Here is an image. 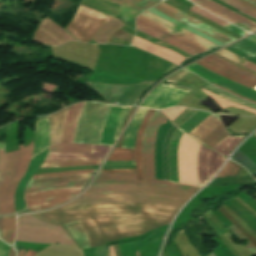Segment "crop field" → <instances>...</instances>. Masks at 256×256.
I'll return each mask as SVG.
<instances>
[{"instance_id": "1", "label": "crop field", "mask_w": 256, "mask_h": 256, "mask_svg": "<svg viewBox=\"0 0 256 256\" xmlns=\"http://www.w3.org/2000/svg\"><path fill=\"white\" fill-rule=\"evenodd\" d=\"M105 195H145L173 200L184 204L193 194L186 191L157 187L150 185L108 184L91 186L80 196L93 197ZM145 196H105L76 199L67 205L105 202V201H149L171 205L180 209L182 204ZM158 203L148 202H105L60 207L55 210L35 213L37 218L53 223L63 224L76 220L107 217V216H147L164 220L168 223L173 219L177 209ZM147 217H107L80 221L87 234L107 232H132L144 234L145 232L166 225L168 223ZM108 233L88 235L91 246L105 245V242L125 239L139 234Z\"/></svg>"}, {"instance_id": "2", "label": "crop field", "mask_w": 256, "mask_h": 256, "mask_svg": "<svg viewBox=\"0 0 256 256\" xmlns=\"http://www.w3.org/2000/svg\"><path fill=\"white\" fill-rule=\"evenodd\" d=\"M83 103L72 105L50 115L51 145L60 144L63 126L67 116L61 143H72L74 132L79 121ZM111 105L95 102H85L84 109L77 126L73 143L99 144L105 119Z\"/></svg>"}, {"instance_id": "3", "label": "crop field", "mask_w": 256, "mask_h": 256, "mask_svg": "<svg viewBox=\"0 0 256 256\" xmlns=\"http://www.w3.org/2000/svg\"><path fill=\"white\" fill-rule=\"evenodd\" d=\"M167 120L166 117L160 113H154L151 121L149 122L143 137L142 142V174L143 181H136V174H99L92 185L106 184V183H143L152 184L165 187H171L190 192H197L198 189L194 187L181 186L171 182L162 180H154V144L158 127Z\"/></svg>"}, {"instance_id": "4", "label": "crop field", "mask_w": 256, "mask_h": 256, "mask_svg": "<svg viewBox=\"0 0 256 256\" xmlns=\"http://www.w3.org/2000/svg\"><path fill=\"white\" fill-rule=\"evenodd\" d=\"M20 150L9 153L8 170L0 189V211L1 214L14 213V191L15 188L25 174L27 166L33 152V141L24 148L19 146Z\"/></svg>"}, {"instance_id": "5", "label": "crop field", "mask_w": 256, "mask_h": 256, "mask_svg": "<svg viewBox=\"0 0 256 256\" xmlns=\"http://www.w3.org/2000/svg\"><path fill=\"white\" fill-rule=\"evenodd\" d=\"M15 240L35 243L74 244L61 226L42 222L31 214L20 215Z\"/></svg>"}, {"instance_id": "6", "label": "crop field", "mask_w": 256, "mask_h": 256, "mask_svg": "<svg viewBox=\"0 0 256 256\" xmlns=\"http://www.w3.org/2000/svg\"><path fill=\"white\" fill-rule=\"evenodd\" d=\"M112 19L113 17L80 5L65 30L78 40L89 42L102 23Z\"/></svg>"}, {"instance_id": "7", "label": "crop field", "mask_w": 256, "mask_h": 256, "mask_svg": "<svg viewBox=\"0 0 256 256\" xmlns=\"http://www.w3.org/2000/svg\"><path fill=\"white\" fill-rule=\"evenodd\" d=\"M190 137L184 133L179 144V183L194 185L198 187L197 151L200 144Z\"/></svg>"}, {"instance_id": "8", "label": "crop field", "mask_w": 256, "mask_h": 256, "mask_svg": "<svg viewBox=\"0 0 256 256\" xmlns=\"http://www.w3.org/2000/svg\"><path fill=\"white\" fill-rule=\"evenodd\" d=\"M84 186L58 189L52 191H37L25 193V201L29 211L42 210L63 202L76 196Z\"/></svg>"}, {"instance_id": "9", "label": "crop field", "mask_w": 256, "mask_h": 256, "mask_svg": "<svg viewBox=\"0 0 256 256\" xmlns=\"http://www.w3.org/2000/svg\"><path fill=\"white\" fill-rule=\"evenodd\" d=\"M208 147H215L229 136L218 116L211 114L190 133Z\"/></svg>"}, {"instance_id": "10", "label": "crop field", "mask_w": 256, "mask_h": 256, "mask_svg": "<svg viewBox=\"0 0 256 256\" xmlns=\"http://www.w3.org/2000/svg\"><path fill=\"white\" fill-rule=\"evenodd\" d=\"M154 8L171 16L172 18H174L184 24H187V25L207 34L208 36H210L218 41L225 43V44H228V43L236 40L235 38L221 32L205 23H202V22L190 17L163 2L159 3Z\"/></svg>"}, {"instance_id": "11", "label": "crop field", "mask_w": 256, "mask_h": 256, "mask_svg": "<svg viewBox=\"0 0 256 256\" xmlns=\"http://www.w3.org/2000/svg\"><path fill=\"white\" fill-rule=\"evenodd\" d=\"M188 91L162 84L154 89L141 104V107L164 109L176 105Z\"/></svg>"}, {"instance_id": "12", "label": "crop field", "mask_w": 256, "mask_h": 256, "mask_svg": "<svg viewBox=\"0 0 256 256\" xmlns=\"http://www.w3.org/2000/svg\"><path fill=\"white\" fill-rule=\"evenodd\" d=\"M92 174H78L47 179L31 180L26 192L37 190H52L70 186L86 185Z\"/></svg>"}, {"instance_id": "13", "label": "crop field", "mask_w": 256, "mask_h": 256, "mask_svg": "<svg viewBox=\"0 0 256 256\" xmlns=\"http://www.w3.org/2000/svg\"><path fill=\"white\" fill-rule=\"evenodd\" d=\"M226 158L200 146L198 155V185L201 188L217 171Z\"/></svg>"}, {"instance_id": "14", "label": "crop field", "mask_w": 256, "mask_h": 256, "mask_svg": "<svg viewBox=\"0 0 256 256\" xmlns=\"http://www.w3.org/2000/svg\"><path fill=\"white\" fill-rule=\"evenodd\" d=\"M186 68L200 74L201 76L217 83L218 85H220V86H222L226 89H229L231 91H234V92H236L240 95H243L247 98H250V99L256 101V91L245 88V87H243V86H241V85H239V84H237V83H235L231 80L223 78V77H221V76H219V75L201 67L200 65H198L196 63H194V64H192V65H190Z\"/></svg>"}, {"instance_id": "15", "label": "crop field", "mask_w": 256, "mask_h": 256, "mask_svg": "<svg viewBox=\"0 0 256 256\" xmlns=\"http://www.w3.org/2000/svg\"><path fill=\"white\" fill-rule=\"evenodd\" d=\"M196 4H198L199 6H201L202 8L206 9L207 11L216 14L220 17H222L223 19L239 26V25H244L246 27H248L251 30H255L256 29V23L210 1V0H190ZM240 26L248 31L251 32V30L247 29L244 26Z\"/></svg>"}, {"instance_id": "16", "label": "crop field", "mask_w": 256, "mask_h": 256, "mask_svg": "<svg viewBox=\"0 0 256 256\" xmlns=\"http://www.w3.org/2000/svg\"><path fill=\"white\" fill-rule=\"evenodd\" d=\"M110 147L93 145L91 153L49 152L46 160H103Z\"/></svg>"}, {"instance_id": "17", "label": "crop field", "mask_w": 256, "mask_h": 256, "mask_svg": "<svg viewBox=\"0 0 256 256\" xmlns=\"http://www.w3.org/2000/svg\"><path fill=\"white\" fill-rule=\"evenodd\" d=\"M107 1L122 4L126 7H129V8L136 10L140 13L144 12L145 10L149 9L153 5L160 2L159 0H107ZM122 5H121V9H120V15L122 16L125 23L140 14V13L133 11L129 8H126Z\"/></svg>"}, {"instance_id": "18", "label": "crop field", "mask_w": 256, "mask_h": 256, "mask_svg": "<svg viewBox=\"0 0 256 256\" xmlns=\"http://www.w3.org/2000/svg\"><path fill=\"white\" fill-rule=\"evenodd\" d=\"M140 16H142V17H144V18H146V19H148V20H150V21H152V22H154V23L172 31V32H175V33H177V34H179V35H181V36H183L187 39H190V40L196 42L197 44L202 45V46H204L208 49H211V48L217 46V45H215V44H213V43H211V42H209V41H207V40H205L201 37H198V36L188 32V31L176 26V25H173V24H171V23H169V22H167V21H165V20L147 12V11L142 13Z\"/></svg>"}, {"instance_id": "19", "label": "crop field", "mask_w": 256, "mask_h": 256, "mask_svg": "<svg viewBox=\"0 0 256 256\" xmlns=\"http://www.w3.org/2000/svg\"><path fill=\"white\" fill-rule=\"evenodd\" d=\"M202 60L205 61L206 63L224 71V72H227V73L237 77V78H241L248 82L256 84V75L250 74V73H248L230 63H227V62L219 59V58H216L211 55Z\"/></svg>"}, {"instance_id": "20", "label": "crop field", "mask_w": 256, "mask_h": 256, "mask_svg": "<svg viewBox=\"0 0 256 256\" xmlns=\"http://www.w3.org/2000/svg\"><path fill=\"white\" fill-rule=\"evenodd\" d=\"M48 150L38 156H36L30 164V167L25 175V177L21 180L17 190H16V209L17 211H20L25 208V204L23 201V190L25 185L27 184L28 180L32 177L34 172L37 170V168L41 165V163L45 160L47 156Z\"/></svg>"}, {"instance_id": "21", "label": "crop field", "mask_w": 256, "mask_h": 256, "mask_svg": "<svg viewBox=\"0 0 256 256\" xmlns=\"http://www.w3.org/2000/svg\"><path fill=\"white\" fill-rule=\"evenodd\" d=\"M133 44L150 52V53H153L159 57L173 61L177 64H179L183 59H185L184 57H182L181 55H179L177 53L169 51L163 47L155 46V45L151 44L150 42H148L144 39H141L137 36L135 37Z\"/></svg>"}, {"instance_id": "22", "label": "crop field", "mask_w": 256, "mask_h": 256, "mask_svg": "<svg viewBox=\"0 0 256 256\" xmlns=\"http://www.w3.org/2000/svg\"><path fill=\"white\" fill-rule=\"evenodd\" d=\"M49 146V120H41L37 122L33 157L44 152ZM32 157V158H33Z\"/></svg>"}, {"instance_id": "23", "label": "crop field", "mask_w": 256, "mask_h": 256, "mask_svg": "<svg viewBox=\"0 0 256 256\" xmlns=\"http://www.w3.org/2000/svg\"><path fill=\"white\" fill-rule=\"evenodd\" d=\"M122 110H123V107H113V106L111 107L110 113H109V115L106 119V123H105V127H104V130H103V133H102V137H101V143L102 144L111 145V143L113 141L117 121H118V118H119ZM119 121H120V119H119ZM102 144H100V145H102Z\"/></svg>"}, {"instance_id": "24", "label": "crop field", "mask_w": 256, "mask_h": 256, "mask_svg": "<svg viewBox=\"0 0 256 256\" xmlns=\"http://www.w3.org/2000/svg\"><path fill=\"white\" fill-rule=\"evenodd\" d=\"M182 132L180 129L173 133L169 148L170 181L178 183L177 148Z\"/></svg>"}, {"instance_id": "25", "label": "crop field", "mask_w": 256, "mask_h": 256, "mask_svg": "<svg viewBox=\"0 0 256 256\" xmlns=\"http://www.w3.org/2000/svg\"><path fill=\"white\" fill-rule=\"evenodd\" d=\"M147 110L148 109H143V108L138 110L133 121L128 126V128L125 132L124 142H123L122 147L134 149L136 133H137L138 127H139L140 123L142 122Z\"/></svg>"}, {"instance_id": "26", "label": "crop field", "mask_w": 256, "mask_h": 256, "mask_svg": "<svg viewBox=\"0 0 256 256\" xmlns=\"http://www.w3.org/2000/svg\"><path fill=\"white\" fill-rule=\"evenodd\" d=\"M63 227L70 234V236L74 239V241L79 249H85V248L91 247L89 240H88L82 226L80 225L79 221L64 224Z\"/></svg>"}, {"instance_id": "27", "label": "crop field", "mask_w": 256, "mask_h": 256, "mask_svg": "<svg viewBox=\"0 0 256 256\" xmlns=\"http://www.w3.org/2000/svg\"><path fill=\"white\" fill-rule=\"evenodd\" d=\"M154 110L149 109L143 122L141 123L137 137H136V146H135V161H136V170H137V180H142L141 175V142H142V136L144 129L146 125L148 124Z\"/></svg>"}, {"instance_id": "28", "label": "crop field", "mask_w": 256, "mask_h": 256, "mask_svg": "<svg viewBox=\"0 0 256 256\" xmlns=\"http://www.w3.org/2000/svg\"><path fill=\"white\" fill-rule=\"evenodd\" d=\"M16 231L15 216L3 217V240L8 243H13Z\"/></svg>"}, {"instance_id": "29", "label": "crop field", "mask_w": 256, "mask_h": 256, "mask_svg": "<svg viewBox=\"0 0 256 256\" xmlns=\"http://www.w3.org/2000/svg\"><path fill=\"white\" fill-rule=\"evenodd\" d=\"M90 144H62L50 147L49 151L90 152Z\"/></svg>"}, {"instance_id": "30", "label": "crop field", "mask_w": 256, "mask_h": 256, "mask_svg": "<svg viewBox=\"0 0 256 256\" xmlns=\"http://www.w3.org/2000/svg\"><path fill=\"white\" fill-rule=\"evenodd\" d=\"M242 138L243 136L241 137L229 136L227 139H225L221 144H219L214 149L219 153L227 156L238 145V143L241 141Z\"/></svg>"}, {"instance_id": "31", "label": "crop field", "mask_w": 256, "mask_h": 256, "mask_svg": "<svg viewBox=\"0 0 256 256\" xmlns=\"http://www.w3.org/2000/svg\"><path fill=\"white\" fill-rule=\"evenodd\" d=\"M102 161H45L41 167H67L76 165H100Z\"/></svg>"}, {"instance_id": "32", "label": "crop field", "mask_w": 256, "mask_h": 256, "mask_svg": "<svg viewBox=\"0 0 256 256\" xmlns=\"http://www.w3.org/2000/svg\"><path fill=\"white\" fill-rule=\"evenodd\" d=\"M153 8H154V7H153ZM153 8L149 9L148 11H150V12H152V13H154V14H156V15H158V16H160V17L166 19V20H169V21L173 22L174 24H176V25H178V26H180V27H182V28H184V29H187V30H189V31H191V32H193V33H195V34H197V35L203 37V38H206L207 40H209V41H211V42H213V43H215V44H217V45H219V46L225 45V44H223V43H221V42H218V41H216V40H214V39H212V38L206 36L205 34L199 32V31H197V30H195V29H193V28H191V27H189V26H187V25H184V24L179 23L178 21H176V20H174V19H172V18H170V17H168V16L162 14L161 12H159V11L153 9Z\"/></svg>"}, {"instance_id": "33", "label": "crop field", "mask_w": 256, "mask_h": 256, "mask_svg": "<svg viewBox=\"0 0 256 256\" xmlns=\"http://www.w3.org/2000/svg\"><path fill=\"white\" fill-rule=\"evenodd\" d=\"M134 160V150L115 148L107 161H129Z\"/></svg>"}, {"instance_id": "34", "label": "crop field", "mask_w": 256, "mask_h": 256, "mask_svg": "<svg viewBox=\"0 0 256 256\" xmlns=\"http://www.w3.org/2000/svg\"><path fill=\"white\" fill-rule=\"evenodd\" d=\"M190 11H192V12H194V13H196V14H198V15H200V16H202V17H204V18H206V19H208V20H210V21L228 29V30L235 27V26L223 21L222 19H220V18H218V17H216V16L198 8L195 5L191 7Z\"/></svg>"}, {"instance_id": "35", "label": "crop field", "mask_w": 256, "mask_h": 256, "mask_svg": "<svg viewBox=\"0 0 256 256\" xmlns=\"http://www.w3.org/2000/svg\"><path fill=\"white\" fill-rule=\"evenodd\" d=\"M136 27H137L138 30H140V31H142V32H144V33H146V34H148L150 36L156 37V38H158V39H160L162 41H167L169 44H171V45H173V46H175V47H177V48H179V49H181V50H183V51H185V52H187V53H189L191 55L197 54L196 52L192 51L191 49H189V48H187V47H185V46H183L181 44H178V43H176V42H174V41H172V40H170V39H168V38H166L164 36H161V35L153 32V31H151V30H149V29H147L145 27L139 26L137 24H136Z\"/></svg>"}, {"instance_id": "36", "label": "crop field", "mask_w": 256, "mask_h": 256, "mask_svg": "<svg viewBox=\"0 0 256 256\" xmlns=\"http://www.w3.org/2000/svg\"><path fill=\"white\" fill-rule=\"evenodd\" d=\"M232 160L244 165L251 173L256 174V164H254L246 155H244L239 149L231 158Z\"/></svg>"}, {"instance_id": "37", "label": "crop field", "mask_w": 256, "mask_h": 256, "mask_svg": "<svg viewBox=\"0 0 256 256\" xmlns=\"http://www.w3.org/2000/svg\"><path fill=\"white\" fill-rule=\"evenodd\" d=\"M136 23L140 24V25H143V26H145L147 28H150V29H152L154 31L160 32L163 35H165V36H167V37H169V38H171V39H173V40H175V41H177V42H179V43H181V44L191 48L192 50H194V51H196L198 53L203 52V50H201V49H199V48H197V47H195V46H193V45H191V44H189V43H187V42H185V41H183V40H181V39H179L177 37H174V36H172V35H170L168 33H165L164 31H162V30H160V29H158V28H156V27H154V26H152L150 24H147V23H145V22H143L141 20L136 19Z\"/></svg>"}, {"instance_id": "38", "label": "crop field", "mask_w": 256, "mask_h": 256, "mask_svg": "<svg viewBox=\"0 0 256 256\" xmlns=\"http://www.w3.org/2000/svg\"><path fill=\"white\" fill-rule=\"evenodd\" d=\"M216 53H218V54H220V55L226 57L227 59H229V60H231V61H233V62H235V63H238V62H240V61L242 60V59L239 58L238 56H236V55H234V54H232V53H230V52H228V51H226V50H224V49H222V50H220V51H218V52H216ZM239 64L242 65V66H244V67H246V68H248V69H251V70H253V71H256V65L253 64V63H250V62H248V61H246V60H244V59H243L242 62L239 63Z\"/></svg>"}, {"instance_id": "39", "label": "crop field", "mask_w": 256, "mask_h": 256, "mask_svg": "<svg viewBox=\"0 0 256 256\" xmlns=\"http://www.w3.org/2000/svg\"><path fill=\"white\" fill-rule=\"evenodd\" d=\"M220 1L228 4V5L236 8V9H238V10H240V11H242V12H244V13L252 16V17H254V18H256V10L254 8L248 6V5L240 3V2H238L236 0H220Z\"/></svg>"}, {"instance_id": "40", "label": "crop field", "mask_w": 256, "mask_h": 256, "mask_svg": "<svg viewBox=\"0 0 256 256\" xmlns=\"http://www.w3.org/2000/svg\"><path fill=\"white\" fill-rule=\"evenodd\" d=\"M196 63L200 64L201 66H203V67H205V68H207V69H209V70H211V71H213V72H215V73H217V74H219V75H221L223 77L229 78V79H231V80H233V81H235V82H237V83H239V84H241L243 86H246V87L251 88V89L253 87V84L245 82V81L240 80V79H237V78H235V77H233V76H231V75H229L227 73H224L222 71H219V70L213 68L212 66L206 64L205 62H203L201 60L196 62Z\"/></svg>"}, {"instance_id": "41", "label": "crop field", "mask_w": 256, "mask_h": 256, "mask_svg": "<svg viewBox=\"0 0 256 256\" xmlns=\"http://www.w3.org/2000/svg\"><path fill=\"white\" fill-rule=\"evenodd\" d=\"M240 169V166L229 161L225 168L220 172V174L216 178L237 176Z\"/></svg>"}, {"instance_id": "42", "label": "crop field", "mask_w": 256, "mask_h": 256, "mask_svg": "<svg viewBox=\"0 0 256 256\" xmlns=\"http://www.w3.org/2000/svg\"><path fill=\"white\" fill-rule=\"evenodd\" d=\"M8 153H4V143H0V186L7 170Z\"/></svg>"}, {"instance_id": "43", "label": "crop field", "mask_w": 256, "mask_h": 256, "mask_svg": "<svg viewBox=\"0 0 256 256\" xmlns=\"http://www.w3.org/2000/svg\"><path fill=\"white\" fill-rule=\"evenodd\" d=\"M202 91H204L206 94H208L209 96H211L212 98H214L216 100V102L224 109L228 106H235V107H238V108H242V109H245V110H248V111H251V112H254L256 113L255 110L253 109H250V108H247V107H244V106H241V105H237V104H234V103H231V102H228L204 89H201Z\"/></svg>"}, {"instance_id": "44", "label": "crop field", "mask_w": 256, "mask_h": 256, "mask_svg": "<svg viewBox=\"0 0 256 256\" xmlns=\"http://www.w3.org/2000/svg\"><path fill=\"white\" fill-rule=\"evenodd\" d=\"M95 170H79V171H66L62 173H55V174H43L33 176L32 179L36 178H45V177H52V176H60V175H69V174H78V173H94Z\"/></svg>"}, {"instance_id": "45", "label": "crop field", "mask_w": 256, "mask_h": 256, "mask_svg": "<svg viewBox=\"0 0 256 256\" xmlns=\"http://www.w3.org/2000/svg\"><path fill=\"white\" fill-rule=\"evenodd\" d=\"M225 49L256 64V59L253 58V57H250V56H248V55H246V54H244V53H242V52H240V51H238L234 48H231V47H228V48H225Z\"/></svg>"}, {"instance_id": "46", "label": "crop field", "mask_w": 256, "mask_h": 256, "mask_svg": "<svg viewBox=\"0 0 256 256\" xmlns=\"http://www.w3.org/2000/svg\"><path fill=\"white\" fill-rule=\"evenodd\" d=\"M138 19H141V20H143V21H145V22H148V23H150V24H152V25H154V26H156V27H158V28H160V29H162V30H164V31H166V32H168V33H170V34H172V35H175V36H177V37H179V38H181V39H183V40H185V41H187V42H189V43H191V44H193V45H195V46H197V47H199V48H201V49H203V50H205V51H207V49H205V48H203V47L197 45L196 43H194V42H192V41H189V40H187V39H185V38H183V37H181V36H179V35H176V34L170 32V31H168V30H166V29H164V28H162V27H160V26H158V25H156V24H154V23H152V22H150V21H148V20H145V19H143V18H141V17H138Z\"/></svg>"}, {"instance_id": "47", "label": "crop field", "mask_w": 256, "mask_h": 256, "mask_svg": "<svg viewBox=\"0 0 256 256\" xmlns=\"http://www.w3.org/2000/svg\"><path fill=\"white\" fill-rule=\"evenodd\" d=\"M187 73H189V71L182 70V71L174 74L172 77H170L168 80H166V82L175 83L179 79H181L183 76H185Z\"/></svg>"}, {"instance_id": "48", "label": "crop field", "mask_w": 256, "mask_h": 256, "mask_svg": "<svg viewBox=\"0 0 256 256\" xmlns=\"http://www.w3.org/2000/svg\"><path fill=\"white\" fill-rule=\"evenodd\" d=\"M204 89H206V90H208V91H211V92H213V93H215V94L221 96L222 98H224V99H226V100H228V101H233V102H235V103H238V104L247 106V105H245V104H242V103H240V102H237V101H235V100H232L233 98H232V99H229V98H231V97H229V96H227V95H225V94H223V93H222V95L227 96V97H229V98L220 95L221 92H219V91H217V90H215V89H213V88H210V87H208V86L204 87ZM247 107H250V106H247ZM252 107H253V106H252ZM252 107H251V108H252ZM255 108H256V107H255ZM255 108H254V109H255Z\"/></svg>"}, {"instance_id": "49", "label": "crop field", "mask_w": 256, "mask_h": 256, "mask_svg": "<svg viewBox=\"0 0 256 256\" xmlns=\"http://www.w3.org/2000/svg\"><path fill=\"white\" fill-rule=\"evenodd\" d=\"M10 246L0 240V256H8Z\"/></svg>"}, {"instance_id": "50", "label": "crop field", "mask_w": 256, "mask_h": 256, "mask_svg": "<svg viewBox=\"0 0 256 256\" xmlns=\"http://www.w3.org/2000/svg\"><path fill=\"white\" fill-rule=\"evenodd\" d=\"M136 172L135 169H123V170H102L101 173H128Z\"/></svg>"}, {"instance_id": "51", "label": "crop field", "mask_w": 256, "mask_h": 256, "mask_svg": "<svg viewBox=\"0 0 256 256\" xmlns=\"http://www.w3.org/2000/svg\"><path fill=\"white\" fill-rule=\"evenodd\" d=\"M228 228H229L240 240L246 239L234 225H232V226H230V227H228Z\"/></svg>"}, {"instance_id": "52", "label": "crop field", "mask_w": 256, "mask_h": 256, "mask_svg": "<svg viewBox=\"0 0 256 256\" xmlns=\"http://www.w3.org/2000/svg\"><path fill=\"white\" fill-rule=\"evenodd\" d=\"M129 109H130V107H127V108H126V110H125V112H124V114H123V116H122V118H121L120 124H119L118 129H117L116 137H117V136L119 135V133H120L122 124H123V122H124V120H125V117H126L128 111H129ZM115 139H116V138H115Z\"/></svg>"}, {"instance_id": "53", "label": "crop field", "mask_w": 256, "mask_h": 256, "mask_svg": "<svg viewBox=\"0 0 256 256\" xmlns=\"http://www.w3.org/2000/svg\"><path fill=\"white\" fill-rule=\"evenodd\" d=\"M105 165H135V162H106Z\"/></svg>"}, {"instance_id": "54", "label": "crop field", "mask_w": 256, "mask_h": 256, "mask_svg": "<svg viewBox=\"0 0 256 256\" xmlns=\"http://www.w3.org/2000/svg\"><path fill=\"white\" fill-rule=\"evenodd\" d=\"M246 247L256 255V248L249 241Z\"/></svg>"}, {"instance_id": "55", "label": "crop field", "mask_w": 256, "mask_h": 256, "mask_svg": "<svg viewBox=\"0 0 256 256\" xmlns=\"http://www.w3.org/2000/svg\"><path fill=\"white\" fill-rule=\"evenodd\" d=\"M134 109H135L134 107H132V108H131V110H130V112H129V114H128V116H127L126 120H125L124 125H125V124H126V122L129 120V118H130L131 114L133 113ZM124 125H123V127H124ZM123 127H122V128H123Z\"/></svg>"}, {"instance_id": "56", "label": "crop field", "mask_w": 256, "mask_h": 256, "mask_svg": "<svg viewBox=\"0 0 256 256\" xmlns=\"http://www.w3.org/2000/svg\"><path fill=\"white\" fill-rule=\"evenodd\" d=\"M113 247H114L115 255L120 256L118 245H113Z\"/></svg>"}, {"instance_id": "57", "label": "crop field", "mask_w": 256, "mask_h": 256, "mask_svg": "<svg viewBox=\"0 0 256 256\" xmlns=\"http://www.w3.org/2000/svg\"><path fill=\"white\" fill-rule=\"evenodd\" d=\"M36 254V252L28 250V252L26 253L25 256H34Z\"/></svg>"}, {"instance_id": "58", "label": "crop field", "mask_w": 256, "mask_h": 256, "mask_svg": "<svg viewBox=\"0 0 256 256\" xmlns=\"http://www.w3.org/2000/svg\"><path fill=\"white\" fill-rule=\"evenodd\" d=\"M213 85H216V84L213 83ZM216 86H218V85H216ZM218 87H220V86H218ZM220 88H222V87H220ZM222 89H224V88H222ZM224 90H225V89H224ZM226 91H227V90H226ZM228 92H229V91H228ZM230 93H231V92H230ZM232 94H234V93H232ZM234 95H236V94H234ZM236 96H238V95H236ZM238 97H240V96H238ZM240 98L245 99V98H243V97H240ZM245 100H248V99H245ZM248 101H250V102L256 104V102H254V101H251V100H248Z\"/></svg>"}, {"instance_id": "59", "label": "crop field", "mask_w": 256, "mask_h": 256, "mask_svg": "<svg viewBox=\"0 0 256 256\" xmlns=\"http://www.w3.org/2000/svg\"><path fill=\"white\" fill-rule=\"evenodd\" d=\"M0 238L2 239V217H0Z\"/></svg>"}, {"instance_id": "60", "label": "crop field", "mask_w": 256, "mask_h": 256, "mask_svg": "<svg viewBox=\"0 0 256 256\" xmlns=\"http://www.w3.org/2000/svg\"><path fill=\"white\" fill-rule=\"evenodd\" d=\"M240 1H242V2H244V3H246V4H248V5H250V6L254 7V8H256V6H255V5H253V4H251V3H249V2H247V1H245V0H240Z\"/></svg>"}, {"instance_id": "61", "label": "crop field", "mask_w": 256, "mask_h": 256, "mask_svg": "<svg viewBox=\"0 0 256 256\" xmlns=\"http://www.w3.org/2000/svg\"><path fill=\"white\" fill-rule=\"evenodd\" d=\"M9 256H15V251L11 248Z\"/></svg>"}, {"instance_id": "62", "label": "crop field", "mask_w": 256, "mask_h": 256, "mask_svg": "<svg viewBox=\"0 0 256 256\" xmlns=\"http://www.w3.org/2000/svg\"><path fill=\"white\" fill-rule=\"evenodd\" d=\"M24 250L18 252V256H22Z\"/></svg>"}, {"instance_id": "63", "label": "crop field", "mask_w": 256, "mask_h": 256, "mask_svg": "<svg viewBox=\"0 0 256 256\" xmlns=\"http://www.w3.org/2000/svg\"><path fill=\"white\" fill-rule=\"evenodd\" d=\"M122 140H123V137H122L121 140H120V145H119V147H121V145H122Z\"/></svg>"}, {"instance_id": "64", "label": "crop field", "mask_w": 256, "mask_h": 256, "mask_svg": "<svg viewBox=\"0 0 256 256\" xmlns=\"http://www.w3.org/2000/svg\"><path fill=\"white\" fill-rule=\"evenodd\" d=\"M135 254H136V256H139V255H140L139 251H136Z\"/></svg>"}, {"instance_id": "65", "label": "crop field", "mask_w": 256, "mask_h": 256, "mask_svg": "<svg viewBox=\"0 0 256 256\" xmlns=\"http://www.w3.org/2000/svg\"><path fill=\"white\" fill-rule=\"evenodd\" d=\"M250 1H252V2L256 3V2H255V1H253V0H250Z\"/></svg>"}, {"instance_id": "66", "label": "crop field", "mask_w": 256, "mask_h": 256, "mask_svg": "<svg viewBox=\"0 0 256 256\" xmlns=\"http://www.w3.org/2000/svg\"><path fill=\"white\" fill-rule=\"evenodd\" d=\"M255 179H256V177H255Z\"/></svg>"}]
</instances>
